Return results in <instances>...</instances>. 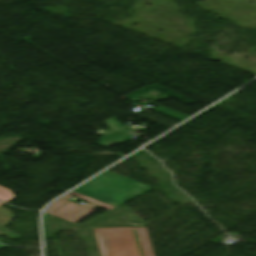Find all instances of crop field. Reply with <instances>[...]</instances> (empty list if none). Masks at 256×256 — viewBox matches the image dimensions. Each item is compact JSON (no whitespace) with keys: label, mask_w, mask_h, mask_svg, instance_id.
I'll use <instances>...</instances> for the list:
<instances>
[{"label":"crop field","mask_w":256,"mask_h":256,"mask_svg":"<svg viewBox=\"0 0 256 256\" xmlns=\"http://www.w3.org/2000/svg\"><path fill=\"white\" fill-rule=\"evenodd\" d=\"M93 230L102 256H154L145 227Z\"/></svg>","instance_id":"8a807250"},{"label":"crop field","mask_w":256,"mask_h":256,"mask_svg":"<svg viewBox=\"0 0 256 256\" xmlns=\"http://www.w3.org/2000/svg\"><path fill=\"white\" fill-rule=\"evenodd\" d=\"M149 189V187L135 183L127 178L105 171L73 192L117 206Z\"/></svg>","instance_id":"ac0d7876"},{"label":"crop field","mask_w":256,"mask_h":256,"mask_svg":"<svg viewBox=\"0 0 256 256\" xmlns=\"http://www.w3.org/2000/svg\"><path fill=\"white\" fill-rule=\"evenodd\" d=\"M70 194L75 195L80 198H83V199H86V200H89L91 202L82 206L79 204H75V203L66 201L67 199H69L71 197V196L66 195V196L62 197L61 199L55 201L51 206H49L47 208V210L45 212L75 223V222L79 221L80 219H82L83 217L90 214L91 212L95 211L91 208L97 204L108 209V210L113 208L112 206H108L106 204H103L101 202H98L96 200H93L91 198H88V197L80 195V194H76L73 192H71Z\"/></svg>","instance_id":"34b2d1b8"},{"label":"crop field","mask_w":256,"mask_h":256,"mask_svg":"<svg viewBox=\"0 0 256 256\" xmlns=\"http://www.w3.org/2000/svg\"><path fill=\"white\" fill-rule=\"evenodd\" d=\"M15 215L12 212L8 211L7 209L0 206V234H3L11 239L18 238L17 235L3 229L2 227L9 222Z\"/></svg>","instance_id":"412701ff"},{"label":"crop field","mask_w":256,"mask_h":256,"mask_svg":"<svg viewBox=\"0 0 256 256\" xmlns=\"http://www.w3.org/2000/svg\"><path fill=\"white\" fill-rule=\"evenodd\" d=\"M12 199H14V196H13L11 190H7V189L0 187V200H2L4 202H8Z\"/></svg>","instance_id":"f4fd0767"},{"label":"crop field","mask_w":256,"mask_h":256,"mask_svg":"<svg viewBox=\"0 0 256 256\" xmlns=\"http://www.w3.org/2000/svg\"><path fill=\"white\" fill-rule=\"evenodd\" d=\"M5 247H7V246H4V245L0 244V249L5 248Z\"/></svg>","instance_id":"dd49c442"},{"label":"crop field","mask_w":256,"mask_h":256,"mask_svg":"<svg viewBox=\"0 0 256 256\" xmlns=\"http://www.w3.org/2000/svg\"><path fill=\"white\" fill-rule=\"evenodd\" d=\"M1 204H3V203L0 202V205H1Z\"/></svg>","instance_id":"e52e79f7"}]
</instances>
